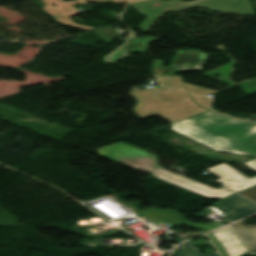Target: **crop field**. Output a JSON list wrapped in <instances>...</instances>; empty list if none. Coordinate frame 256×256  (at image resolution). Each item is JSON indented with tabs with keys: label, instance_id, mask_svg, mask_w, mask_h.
<instances>
[{
	"label": "crop field",
	"instance_id": "obj_1",
	"mask_svg": "<svg viewBox=\"0 0 256 256\" xmlns=\"http://www.w3.org/2000/svg\"><path fill=\"white\" fill-rule=\"evenodd\" d=\"M170 126V130L212 149L256 158V121L233 120L207 111ZM245 164L256 169V159Z\"/></svg>",
	"mask_w": 256,
	"mask_h": 256
},
{
	"label": "crop field",
	"instance_id": "obj_2",
	"mask_svg": "<svg viewBox=\"0 0 256 256\" xmlns=\"http://www.w3.org/2000/svg\"><path fill=\"white\" fill-rule=\"evenodd\" d=\"M105 158L129 166L131 168L141 167L152 172L151 176L170 182L187 190L193 191L207 198L218 197L223 199L234 194L225 189H217L190 178L163 169L157 164L154 154L141 150L123 142L108 145L98 150Z\"/></svg>",
	"mask_w": 256,
	"mask_h": 256
},
{
	"label": "crop field",
	"instance_id": "obj_3",
	"mask_svg": "<svg viewBox=\"0 0 256 256\" xmlns=\"http://www.w3.org/2000/svg\"><path fill=\"white\" fill-rule=\"evenodd\" d=\"M131 94L138 102L133 110L140 119L160 115L172 123L207 111L197 106L188 93L166 87L141 89Z\"/></svg>",
	"mask_w": 256,
	"mask_h": 256
},
{
	"label": "crop field",
	"instance_id": "obj_4",
	"mask_svg": "<svg viewBox=\"0 0 256 256\" xmlns=\"http://www.w3.org/2000/svg\"><path fill=\"white\" fill-rule=\"evenodd\" d=\"M219 176L221 179L215 182L223 185L224 188L239 192L256 184V177L249 179L230 165L223 163L215 167L206 169Z\"/></svg>",
	"mask_w": 256,
	"mask_h": 256
},
{
	"label": "crop field",
	"instance_id": "obj_5",
	"mask_svg": "<svg viewBox=\"0 0 256 256\" xmlns=\"http://www.w3.org/2000/svg\"><path fill=\"white\" fill-rule=\"evenodd\" d=\"M208 55L199 50L178 51L172 66L181 67V71L202 70L200 67L206 61ZM163 61L154 60L153 71H179L176 68L162 67Z\"/></svg>",
	"mask_w": 256,
	"mask_h": 256
},
{
	"label": "crop field",
	"instance_id": "obj_6",
	"mask_svg": "<svg viewBox=\"0 0 256 256\" xmlns=\"http://www.w3.org/2000/svg\"><path fill=\"white\" fill-rule=\"evenodd\" d=\"M228 256H243L247 251L229 227L212 232Z\"/></svg>",
	"mask_w": 256,
	"mask_h": 256
},
{
	"label": "crop field",
	"instance_id": "obj_7",
	"mask_svg": "<svg viewBox=\"0 0 256 256\" xmlns=\"http://www.w3.org/2000/svg\"><path fill=\"white\" fill-rule=\"evenodd\" d=\"M141 213H143L156 224H170L172 227H174L185 223L181 215L175 211L151 208L141 211Z\"/></svg>",
	"mask_w": 256,
	"mask_h": 256
},
{
	"label": "crop field",
	"instance_id": "obj_8",
	"mask_svg": "<svg viewBox=\"0 0 256 256\" xmlns=\"http://www.w3.org/2000/svg\"><path fill=\"white\" fill-rule=\"evenodd\" d=\"M136 32H132L131 38L127 45L123 49H119L114 54L110 56V61L115 63L121 59L128 58L129 54L127 52H141L146 51L148 43L152 40H161L155 37H144V38H135ZM153 42V41H152ZM143 43L144 48L140 50L139 45Z\"/></svg>",
	"mask_w": 256,
	"mask_h": 256
},
{
	"label": "crop field",
	"instance_id": "obj_9",
	"mask_svg": "<svg viewBox=\"0 0 256 256\" xmlns=\"http://www.w3.org/2000/svg\"><path fill=\"white\" fill-rule=\"evenodd\" d=\"M249 251L256 252V224L247 225L242 221L231 225Z\"/></svg>",
	"mask_w": 256,
	"mask_h": 256
},
{
	"label": "crop field",
	"instance_id": "obj_10",
	"mask_svg": "<svg viewBox=\"0 0 256 256\" xmlns=\"http://www.w3.org/2000/svg\"><path fill=\"white\" fill-rule=\"evenodd\" d=\"M220 202L228 204L233 207H236L243 211L249 212L251 214L256 213V204L252 205L250 200H248L238 194H235V195H233L229 198H226Z\"/></svg>",
	"mask_w": 256,
	"mask_h": 256
},
{
	"label": "crop field",
	"instance_id": "obj_11",
	"mask_svg": "<svg viewBox=\"0 0 256 256\" xmlns=\"http://www.w3.org/2000/svg\"><path fill=\"white\" fill-rule=\"evenodd\" d=\"M173 253L175 256H220L218 252L201 255L191 242H186L178 246Z\"/></svg>",
	"mask_w": 256,
	"mask_h": 256
},
{
	"label": "crop field",
	"instance_id": "obj_12",
	"mask_svg": "<svg viewBox=\"0 0 256 256\" xmlns=\"http://www.w3.org/2000/svg\"><path fill=\"white\" fill-rule=\"evenodd\" d=\"M218 207H219V209L225 211L228 214V216L231 218L232 221H236L238 219H241L243 217L251 215V214H248V213L243 212L241 210L230 207L228 205L222 204L220 202H219Z\"/></svg>",
	"mask_w": 256,
	"mask_h": 256
},
{
	"label": "crop field",
	"instance_id": "obj_13",
	"mask_svg": "<svg viewBox=\"0 0 256 256\" xmlns=\"http://www.w3.org/2000/svg\"><path fill=\"white\" fill-rule=\"evenodd\" d=\"M158 78L164 85L185 90L180 76H158Z\"/></svg>",
	"mask_w": 256,
	"mask_h": 256
},
{
	"label": "crop field",
	"instance_id": "obj_14",
	"mask_svg": "<svg viewBox=\"0 0 256 256\" xmlns=\"http://www.w3.org/2000/svg\"><path fill=\"white\" fill-rule=\"evenodd\" d=\"M185 85H186V89L189 92H194V93H198V94H202V95L217 92V91H213V90H210V89H206V88L199 87V86L192 85V84H188V83H185Z\"/></svg>",
	"mask_w": 256,
	"mask_h": 256
},
{
	"label": "crop field",
	"instance_id": "obj_15",
	"mask_svg": "<svg viewBox=\"0 0 256 256\" xmlns=\"http://www.w3.org/2000/svg\"><path fill=\"white\" fill-rule=\"evenodd\" d=\"M191 95V94H190ZM191 97L194 99V101L204 107V108H207L209 107V104H210V99L206 98V97H202V96H197V95H191Z\"/></svg>",
	"mask_w": 256,
	"mask_h": 256
},
{
	"label": "crop field",
	"instance_id": "obj_16",
	"mask_svg": "<svg viewBox=\"0 0 256 256\" xmlns=\"http://www.w3.org/2000/svg\"><path fill=\"white\" fill-rule=\"evenodd\" d=\"M256 202V186L239 193Z\"/></svg>",
	"mask_w": 256,
	"mask_h": 256
},
{
	"label": "crop field",
	"instance_id": "obj_17",
	"mask_svg": "<svg viewBox=\"0 0 256 256\" xmlns=\"http://www.w3.org/2000/svg\"><path fill=\"white\" fill-rule=\"evenodd\" d=\"M186 221V225H191V226H197V227H203V228H207L208 230L210 229H214V228H217V227H221V225L213 222L211 224H191L189 223L187 220Z\"/></svg>",
	"mask_w": 256,
	"mask_h": 256
},
{
	"label": "crop field",
	"instance_id": "obj_18",
	"mask_svg": "<svg viewBox=\"0 0 256 256\" xmlns=\"http://www.w3.org/2000/svg\"><path fill=\"white\" fill-rule=\"evenodd\" d=\"M208 235L211 237L213 243L215 244V246L217 247V249L219 250V252H220L223 256H226V254L223 252V250L220 248V246L217 244V242L214 240V238L211 236V234L208 233Z\"/></svg>",
	"mask_w": 256,
	"mask_h": 256
}]
</instances>
